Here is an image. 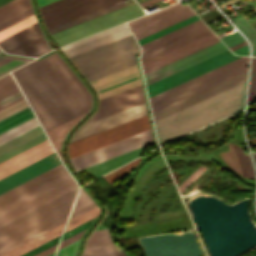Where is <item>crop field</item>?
<instances>
[{"label":"crop field","instance_id":"crop-field-46","mask_svg":"<svg viewBox=\"0 0 256 256\" xmlns=\"http://www.w3.org/2000/svg\"><path fill=\"white\" fill-rule=\"evenodd\" d=\"M207 167L201 166L198 170H196L190 177H188L179 187L180 193L190 184L192 183L199 175H201Z\"/></svg>","mask_w":256,"mask_h":256},{"label":"crop field","instance_id":"crop-field-41","mask_svg":"<svg viewBox=\"0 0 256 256\" xmlns=\"http://www.w3.org/2000/svg\"><path fill=\"white\" fill-rule=\"evenodd\" d=\"M67 216H68V215H67ZM65 217H66V216H65ZM66 218H67V217H66ZM66 218H64V219H62V220H60V221H58V222H56V223H54V224H52V225H50V226H48V227H46V228H44V229H42V230H40V231H38V232H36V233H34V234L28 236V237H26V238H24V239H22V240H20V241H18V242H16V243H14V244L8 246V247H6V248L0 250V254H2V253H4V252L8 251L9 249H11V248H13V247H15V246H17V245H19V244H21V243H23V242L29 240V239H31V238H33V237L37 236V235H39V234H41V233H43V232H45V231H47V230H49V229H51V228H53V227H55V226H57V225L63 223V222H65Z\"/></svg>","mask_w":256,"mask_h":256},{"label":"crop field","instance_id":"crop-field-14","mask_svg":"<svg viewBox=\"0 0 256 256\" xmlns=\"http://www.w3.org/2000/svg\"><path fill=\"white\" fill-rule=\"evenodd\" d=\"M140 83L136 65L90 82L99 99Z\"/></svg>","mask_w":256,"mask_h":256},{"label":"crop field","instance_id":"crop-field-29","mask_svg":"<svg viewBox=\"0 0 256 256\" xmlns=\"http://www.w3.org/2000/svg\"><path fill=\"white\" fill-rule=\"evenodd\" d=\"M31 7L29 0H13L0 7V22Z\"/></svg>","mask_w":256,"mask_h":256},{"label":"crop field","instance_id":"crop-field-59","mask_svg":"<svg viewBox=\"0 0 256 256\" xmlns=\"http://www.w3.org/2000/svg\"><path fill=\"white\" fill-rule=\"evenodd\" d=\"M253 157H254V161H255V165H256V154L253 153Z\"/></svg>","mask_w":256,"mask_h":256},{"label":"crop field","instance_id":"crop-field-22","mask_svg":"<svg viewBox=\"0 0 256 256\" xmlns=\"http://www.w3.org/2000/svg\"><path fill=\"white\" fill-rule=\"evenodd\" d=\"M229 151L222 152L221 158L241 176L255 179L254 171L248 155H244L242 147L228 142Z\"/></svg>","mask_w":256,"mask_h":256},{"label":"crop field","instance_id":"crop-field-16","mask_svg":"<svg viewBox=\"0 0 256 256\" xmlns=\"http://www.w3.org/2000/svg\"><path fill=\"white\" fill-rule=\"evenodd\" d=\"M221 43H222V42H221ZM222 45H223V46H221L220 42L215 43V44H213V45H211V46H209V47H207V48H204V49H202V50H200V51H198V52H196V53H193V54H191V55H189V56H187V57H185V58H183V59H180V60H178V61H176V62H174V63H172V64H169V65H167V66H165V67H162V68H160V69H157V70H155V71H153V72H150V73L146 74L145 77H146V79H147V78H149V77H151V76H153V75H156V74H158V73H160V72H162V71H165V70H167V69H169V68H172V67H174V66H176V65H178V64H181V63H183V62H185V61H187V60H190V59H192V58H194V57H196V56H199V55H201V54H203V53H206V52H208V51H210V50H212V49H215V48L221 46V47H219V48H217V49H215V50H212V51H210V52H208V53H206V54H203V55H201V56H199V57H196V58H194V59H192V60H190V61H187V62H185V63H183V64H181V65H178V66H176V67H174V68H172V69H169V70H167V71H165V72H162V73H160V74H158V75H156V76H153V77H151V78L145 80L146 86L149 85V84H151V83H153V82H156V81H158V80H160V79H162V78H165V77H167V76H169V75H171V74H174V73H176V72H178V71H180V70H183V69H185V68H187V67H189V66H191V65H194V64H196V63H198V62H200V61H203V60H205V59H207V58H209V57H212V56H214V55H216V54H218V53H221V52L227 50V48L224 46L223 43H222ZM145 77H144V78H145Z\"/></svg>","mask_w":256,"mask_h":256},{"label":"crop field","instance_id":"crop-field-4","mask_svg":"<svg viewBox=\"0 0 256 256\" xmlns=\"http://www.w3.org/2000/svg\"><path fill=\"white\" fill-rule=\"evenodd\" d=\"M139 52L132 35L77 56L69 58L78 71L90 82L135 65L134 54Z\"/></svg>","mask_w":256,"mask_h":256},{"label":"crop field","instance_id":"crop-field-45","mask_svg":"<svg viewBox=\"0 0 256 256\" xmlns=\"http://www.w3.org/2000/svg\"><path fill=\"white\" fill-rule=\"evenodd\" d=\"M80 240V239H79ZM79 240L59 249L57 251L56 256H74L77 246L79 244Z\"/></svg>","mask_w":256,"mask_h":256},{"label":"crop field","instance_id":"crop-field-31","mask_svg":"<svg viewBox=\"0 0 256 256\" xmlns=\"http://www.w3.org/2000/svg\"><path fill=\"white\" fill-rule=\"evenodd\" d=\"M111 11H114V8L112 6H109L107 8H104V9H101L99 11H96V12H93L91 14H88L86 16H83V17H80L78 19H75V20H72L70 22H67L65 24H62V25H59L57 27H54V28H51L48 31L49 34L51 33H54L56 31H59V30H62V29H65L67 27H70V26H73V25H76L78 23H81V22H84V21H87L89 19H92V18H95V17H98L100 15H103V14H106V13H109Z\"/></svg>","mask_w":256,"mask_h":256},{"label":"crop field","instance_id":"crop-field-53","mask_svg":"<svg viewBox=\"0 0 256 256\" xmlns=\"http://www.w3.org/2000/svg\"><path fill=\"white\" fill-rule=\"evenodd\" d=\"M233 52L236 53V54H239V55H248L247 45L242 47V48H239V49H237Z\"/></svg>","mask_w":256,"mask_h":256},{"label":"crop field","instance_id":"crop-field-32","mask_svg":"<svg viewBox=\"0 0 256 256\" xmlns=\"http://www.w3.org/2000/svg\"><path fill=\"white\" fill-rule=\"evenodd\" d=\"M206 30H208V28L206 26H204V27H202L200 29H197V30H195L193 32H190V33H188L186 35H183V36H181L179 38H176V39H174L172 41H169V42H167V43H165V44H163V45H161V46H159L157 48H154V49H152V50L142 54L140 59H144V58H146V57H148L150 55H153V54H155V53H157L159 51H162V50H164V49H166L168 47H171V46H173V45H175V44H177L179 42H182V41H184V40H186L188 38H191V37H193V36H195V35H197L199 33L204 32Z\"/></svg>","mask_w":256,"mask_h":256},{"label":"crop field","instance_id":"crop-field-38","mask_svg":"<svg viewBox=\"0 0 256 256\" xmlns=\"http://www.w3.org/2000/svg\"><path fill=\"white\" fill-rule=\"evenodd\" d=\"M196 19H198V17L196 15H194V16L188 18V19H185V20H183L181 22H178V23H176V24H174L172 26H169V27H167V28H165L163 30H160V31H158V32H156L154 34H151V35H149L147 37H144V38L138 40V43H139V45H141V44H143V43H145L147 41H150V40H152V39H154V38H156L158 36H161V35H163V34H165L167 32H170V31H172V30H174V29H176L178 27H181V26H183V25H185L187 23H190V22H192V21H194Z\"/></svg>","mask_w":256,"mask_h":256},{"label":"crop field","instance_id":"crop-field-55","mask_svg":"<svg viewBox=\"0 0 256 256\" xmlns=\"http://www.w3.org/2000/svg\"><path fill=\"white\" fill-rule=\"evenodd\" d=\"M99 256H126L123 251L117 252V253H112V254H105V255H99Z\"/></svg>","mask_w":256,"mask_h":256},{"label":"crop field","instance_id":"crop-field-61","mask_svg":"<svg viewBox=\"0 0 256 256\" xmlns=\"http://www.w3.org/2000/svg\"><path fill=\"white\" fill-rule=\"evenodd\" d=\"M54 255V253L53 254H51V255H49V256H53Z\"/></svg>","mask_w":256,"mask_h":256},{"label":"crop field","instance_id":"crop-field-28","mask_svg":"<svg viewBox=\"0 0 256 256\" xmlns=\"http://www.w3.org/2000/svg\"><path fill=\"white\" fill-rule=\"evenodd\" d=\"M85 114V113H84ZM80 115L48 132L47 135L54 145L56 151L61 149V143L64 135L68 132V130L84 115ZM66 136V135H65Z\"/></svg>","mask_w":256,"mask_h":256},{"label":"crop field","instance_id":"crop-field-49","mask_svg":"<svg viewBox=\"0 0 256 256\" xmlns=\"http://www.w3.org/2000/svg\"><path fill=\"white\" fill-rule=\"evenodd\" d=\"M94 220H95V219H93V220H91V221H89V222H87V223H85V224H83V225H81V226H79V227H77V228H75V229H73V230H71V231L65 233V234L63 235L62 240H64V239H66V238H68V237H70V236H72V235H74V234H76V233H78V232H80V231H82V230L88 228V227L90 226V224H91ZM62 240H61V241H62Z\"/></svg>","mask_w":256,"mask_h":256},{"label":"crop field","instance_id":"crop-field-19","mask_svg":"<svg viewBox=\"0 0 256 256\" xmlns=\"http://www.w3.org/2000/svg\"><path fill=\"white\" fill-rule=\"evenodd\" d=\"M126 35H130V32L126 24H124L111 30L86 38L84 40L67 45L60 49L67 56V58H69L71 56L77 55L79 53L90 50L92 48H95L97 46L108 43Z\"/></svg>","mask_w":256,"mask_h":256},{"label":"crop field","instance_id":"crop-field-18","mask_svg":"<svg viewBox=\"0 0 256 256\" xmlns=\"http://www.w3.org/2000/svg\"><path fill=\"white\" fill-rule=\"evenodd\" d=\"M54 152L48 139L0 163V179Z\"/></svg>","mask_w":256,"mask_h":256},{"label":"crop field","instance_id":"crop-field-6","mask_svg":"<svg viewBox=\"0 0 256 256\" xmlns=\"http://www.w3.org/2000/svg\"><path fill=\"white\" fill-rule=\"evenodd\" d=\"M142 14H144L143 10L133 3L117 11L51 34V36L61 45Z\"/></svg>","mask_w":256,"mask_h":256},{"label":"crop field","instance_id":"crop-field-21","mask_svg":"<svg viewBox=\"0 0 256 256\" xmlns=\"http://www.w3.org/2000/svg\"><path fill=\"white\" fill-rule=\"evenodd\" d=\"M77 187L76 183L72 180L38 196L37 198L3 214L0 216V225L6 223L7 221Z\"/></svg>","mask_w":256,"mask_h":256},{"label":"crop field","instance_id":"crop-field-34","mask_svg":"<svg viewBox=\"0 0 256 256\" xmlns=\"http://www.w3.org/2000/svg\"><path fill=\"white\" fill-rule=\"evenodd\" d=\"M36 23L34 15H31L15 24L12 26L0 31V41L15 34L16 32Z\"/></svg>","mask_w":256,"mask_h":256},{"label":"crop field","instance_id":"crop-field-15","mask_svg":"<svg viewBox=\"0 0 256 256\" xmlns=\"http://www.w3.org/2000/svg\"><path fill=\"white\" fill-rule=\"evenodd\" d=\"M247 71L152 113L154 121L246 80Z\"/></svg>","mask_w":256,"mask_h":256},{"label":"crop field","instance_id":"crop-field-43","mask_svg":"<svg viewBox=\"0 0 256 256\" xmlns=\"http://www.w3.org/2000/svg\"><path fill=\"white\" fill-rule=\"evenodd\" d=\"M117 252L114 245L84 250L83 256Z\"/></svg>","mask_w":256,"mask_h":256},{"label":"crop field","instance_id":"crop-field-13","mask_svg":"<svg viewBox=\"0 0 256 256\" xmlns=\"http://www.w3.org/2000/svg\"><path fill=\"white\" fill-rule=\"evenodd\" d=\"M144 101L142 86L137 85L99 100L97 111L85 122H90ZM83 123V124H85Z\"/></svg>","mask_w":256,"mask_h":256},{"label":"crop field","instance_id":"crop-field-56","mask_svg":"<svg viewBox=\"0 0 256 256\" xmlns=\"http://www.w3.org/2000/svg\"><path fill=\"white\" fill-rule=\"evenodd\" d=\"M53 1H56V0H37L39 7L42 5L48 4L50 2H53Z\"/></svg>","mask_w":256,"mask_h":256},{"label":"crop field","instance_id":"crop-field-26","mask_svg":"<svg viewBox=\"0 0 256 256\" xmlns=\"http://www.w3.org/2000/svg\"><path fill=\"white\" fill-rule=\"evenodd\" d=\"M202 26H204V24L199 19V20L194 21V22H192L190 24H187V25H185V26H183L181 28H178V29H176V30H174V31H172L170 33H167V34H165V35H163V36H161V37H159L157 39H154V40H152L150 42H147V43L141 45L140 47L142 49V53H144V52H146V51H148V50H150V49H152L154 47H157V46H159V45H161V44H163V43H165V42H167L169 40H172V39H174L176 37H179V36H181L183 34H186V33L190 32V31H193V30H195L197 28H200Z\"/></svg>","mask_w":256,"mask_h":256},{"label":"crop field","instance_id":"crop-field-58","mask_svg":"<svg viewBox=\"0 0 256 256\" xmlns=\"http://www.w3.org/2000/svg\"><path fill=\"white\" fill-rule=\"evenodd\" d=\"M8 1H10V0H0V5L6 3V2H8Z\"/></svg>","mask_w":256,"mask_h":256},{"label":"crop field","instance_id":"crop-field-35","mask_svg":"<svg viewBox=\"0 0 256 256\" xmlns=\"http://www.w3.org/2000/svg\"><path fill=\"white\" fill-rule=\"evenodd\" d=\"M41 133H43V132H42L40 126H39V127L35 128V129H33V130L15 138L13 140L1 145L0 146V154L9 150V149H11V148H13V147H15V146H17V145H19V144H21V143H23V142H25V141H27V140H29V139H31V138H33V137H35V136H37V135H39V134H41Z\"/></svg>","mask_w":256,"mask_h":256},{"label":"crop field","instance_id":"crop-field-51","mask_svg":"<svg viewBox=\"0 0 256 256\" xmlns=\"http://www.w3.org/2000/svg\"><path fill=\"white\" fill-rule=\"evenodd\" d=\"M95 206H97V205H95L94 203H92V204H90V205H88V206H86V207H84V208H82V209H80V210H78V211L72 213V214L70 215V219L73 218V217H75V216H77V215H79V214H81V213H83V212H85V211H87V210H89V209H91V208H93V207H95Z\"/></svg>","mask_w":256,"mask_h":256},{"label":"crop field","instance_id":"crop-field-39","mask_svg":"<svg viewBox=\"0 0 256 256\" xmlns=\"http://www.w3.org/2000/svg\"><path fill=\"white\" fill-rule=\"evenodd\" d=\"M254 99H256V58H252L248 104Z\"/></svg>","mask_w":256,"mask_h":256},{"label":"crop field","instance_id":"crop-field-12","mask_svg":"<svg viewBox=\"0 0 256 256\" xmlns=\"http://www.w3.org/2000/svg\"><path fill=\"white\" fill-rule=\"evenodd\" d=\"M146 105L145 102L139 105L133 106L131 108L122 110L120 112L114 113L112 115L106 116L104 118L95 120L93 122L82 125L72 136L70 142L81 139L83 137L92 135L94 133L103 131L105 129L111 128L113 126L122 124L124 122L133 120L135 118L146 115ZM69 142V143H70Z\"/></svg>","mask_w":256,"mask_h":256},{"label":"crop field","instance_id":"crop-field-25","mask_svg":"<svg viewBox=\"0 0 256 256\" xmlns=\"http://www.w3.org/2000/svg\"><path fill=\"white\" fill-rule=\"evenodd\" d=\"M63 226H64V223L39 235L38 237L0 255V256H18L58 235H60L62 233V230H63Z\"/></svg>","mask_w":256,"mask_h":256},{"label":"crop field","instance_id":"crop-field-1","mask_svg":"<svg viewBox=\"0 0 256 256\" xmlns=\"http://www.w3.org/2000/svg\"><path fill=\"white\" fill-rule=\"evenodd\" d=\"M12 73L45 132L91 108L89 92L56 52Z\"/></svg>","mask_w":256,"mask_h":256},{"label":"crop field","instance_id":"crop-field-62","mask_svg":"<svg viewBox=\"0 0 256 256\" xmlns=\"http://www.w3.org/2000/svg\"><path fill=\"white\" fill-rule=\"evenodd\" d=\"M0 52H2V51L0 50Z\"/></svg>","mask_w":256,"mask_h":256},{"label":"crop field","instance_id":"crop-field-54","mask_svg":"<svg viewBox=\"0 0 256 256\" xmlns=\"http://www.w3.org/2000/svg\"><path fill=\"white\" fill-rule=\"evenodd\" d=\"M239 19L241 20V22L246 26V28L251 32V34L255 37L256 39V33L255 31L250 27V25L242 18L239 17ZM256 56V55H255Z\"/></svg>","mask_w":256,"mask_h":256},{"label":"crop field","instance_id":"crop-field-10","mask_svg":"<svg viewBox=\"0 0 256 256\" xmlns=\"http://www.w3.org/2000/svg\"><path fill=\"white\" fill-rule=\"evenodd\" d=\"M238 57L240 56H234L230 53L229 50H227L221 54H218L212 58H209L203 62H200L183 71H180L174 75H171L165 79H162L156 83L147 86L146 89L148 97L150 98L158 93L170 89L178 84H181L189 79L201 75Z\"/></svg>","mask_w":256,"mask_h":256},{"label":"crop field","instance_id":"crop-field-9","mask_svg":"<svg viewBox=\"0 0 256 256\" xmlns=\"http://www.w3.org/2000/svg\"><path fill=\"white\" fill-rule=\"evenodd\" d=\"M192 15H194V13L187 6L182 7L181 4L178 3L131 21L129 25L138 40Z\"/></svg>","mask_w":256,"mask_h":256},{"label":"crop field","instance_id":"crop-field-30","mask_svg":"<svg viewBox=\"0 0 256 256\" xmlns=\"http://www.w3.org/2000/svg\"><path fill=\"white\" fill-rule=\"evenodd\" d=\"M39 126L35 117L0 135V145Z\"/></svg>","mask_w":256,"mask_h":256},{"label":"crop field","instance_id":"crop-field-47","mask_svg":"<svg viewBox=\"0 0 256 256\" xmlns=\"http://www.w3.org/2000/svg\"><path fill=\"white\" fill-rule=\"evenodd\" d=\"M12 59L23 60V61H26V62L29 61L28 59L8 57V58L0 61V65L4 64V63H6V62H8V61H10ZM18 60H13V61H11V62L1 66L0 67V73H2V72H4V71H6V70H8V69H10V68H12V67H14V66H16V65H18V64L23 62V61H18Z\"/></svg>","mask_w":256,"mask_h":256},{"label":"crop field","instance_id":"crop-field-3","mask_svg":"<svg viewBox=\"0 0 256 256\" xmlns=\"http://www.w3.org/2000/svg\"><path fill=\"white\" fill-rule=\"evenodd\" d=\"M149 128L150 125L146 115L133 121L70 143L68 145V156L71 159ZM152 142V135L149 129L100 149L73 158L70 161L75 171H78L92 164L98 163L100 161Z\"/></svg>","mask_w":256,"mask_h":256},{"label":"crop field","instance_id":"crop-field-48","mask_svg":"<svg viewBox=\"0 0 256 256\" xmlns=\"http://www.w3.org/2000/svg\"><path fill=\"white\" fill-rule=\"evenodd\" d=\"M59 238H60V236L51 240V241H49V242H47V243H45V244H43V245H41V246H39V247H37V248H35V249H33V250H31V251H29V252H27V253H25V254H23V255H21V256H32V255L50 247V246L58 243Z\"/></svg>","mask_w":256,"mask_h":256},{"label":"crop field","instance_id":"crop-field-20","mask_svg":"<svg viewBox=\"0 0 256 256\" xmlns=\"http://www.w3.org/2000/svg\"><path fill=\"white\" fill-rule=\"evenodd\" d=\"M67 173L63 168L62 164L1 194L0 195V206L14 200L15 198Z\"/></svg>","mask_w":256,"mask_h":256},{"label":"crop field","instance_id":"crop-field-57","mask_svg":"<svg viewBox=\"0 0 256 256\" xmlns=\"http://www.w3.org/2000/svg\"><path fill=\"white\" fill-rule=\"evenodd\" d=\"M158 1H161V0H148V1H145V2H143V3H140V5H141L142 7H144V6H147V5H149V4L156 3V2H158Z\"/></svg>","mask_w":256,"mask_h":256},{"label":"crop field","instance_id":"crop-field-11","mask_svg":"<svg viewBox=\"0 0 256 256\" xmlns=\"http://www.w3.org/2000/svg\"><path fill=\"white\" fill-rule=\"evenodd\" d=\"M6 52L37 57L48 51L49 47L43 40L37 24L0 42Z\"/></svg>","mask_w":256,"mask_h":256},{"label":"crop field","instance_id":"crop-field-36","mask_svg":"<svg viewBox=\"0 0 256 256\" xmlns=\"http://www.w3.org/2000/svg\"><path fill=\"white\" fill-rule=\"evenodd\" d=\"M45 139H47V138H46V136L43 133V134H41V135L31 139V140H29V141L19 145V146H17L15 148H13V149H11V150L1 154L0 155V162H2L4 160L12 157L13 155H15V154H17V153H19V152H21V151H23V150L33 146V145H35V144L45 140Z\"/></svg>","mask_w":256,"mask_h":256},{"label":"crop field","instance_id":"crop-field-17","mask_svg":"<svg viewBox=\"0 0 256 256\" xmlns=\"http://www.w3.org/2000/svg\"><path fill=\"white\" fill-rule=\"evenodd\" d=\"M60 164L55 152L0 180V193Z\"/></svg>","mask_w":256,"mask_h":256},{"label":"crop field","instance_id":"crop-field-44","mask_svg":"<svg viewBox=\"0 0 256 256\" xmlns=\"http://www.w3.org/2000/svg\"><path fill=\"white\" fill-rule=\"evenodd\" d=\"M26 106H28V105H27V103H26V101L24 99V100L14 104V105H12V106H10V107L0 111V119H2L4 117H6V116L16 112V111H18V110H20V109H22V108H24Z\"/></svg>","mask_w":256,"mask_h":256},{"label":"crop field","instance_id":"crop-field-8","mask_svg":"<svg viewBox=\"0 0 256 256\" xmlns=\"http://www.w3.org/2000/svg\"><path fill=\"white\" fill-rule=\"evenodd\" d=\"M217 41H219V39L208 30L153 56L150 55L151 57L144 60L141 59L143 72L145 74Z\"/></svg>","mask_w":256,"mask_h":256},{"label":"crop field","instance_id":"crop-field-60","mask_svg":"<svg viewBox=\"0 0 256 256\" xmlns=\"http://www.w3.org/2000/svg\"><path fill=\"white\" fill-rule=\"evenodd\" d=\"M5 57H6V56H0V60L3 59V58H5Z\"/></svg>","mask_w":256,"mask_h":256},{"label":"crop field","instance_id":"crop-field-42","mask_svg":"<svg viewBox=\"0 0 256 256\" xmlns=\"http://www.w3.org/2000/svg\"><path fill=\"white\" fill-rule=\"evenodd\" d=\"M31 14H33L32 7L23 11V12H21V13H19V14H17V15H15V16H13V17H11V18H9V19H7V20H5V21H3V22H1L0 23V30L10 26L11 24H13V23L31 15Z\"/></svg>","mask_w":256,"mask_h":256},{"label":"crop field","instance_id":"crop-field-23","mask_svg":"<svg viewBox=\"0 0 256 256\" xmlns=\"http://www.w3.org/2000/svg\"><path fill=\"white\" fill-rule=\"evenodd\" d=\"M70 179H72V178L67 173V174H65V175H63V176H61V177H59V178H57V179H55L51 182H49V183H47V184H45V185H43V186H41V187H39L35 190L23 195V196L15 199L14 201L0 207V215L9 211V210H11V209H13V208H15V207H17V206H19V205H21V204H23V203H25V202H27V201H29V200H31V199H33V198H35V197H37L38 195H40V194L58 186V185L66 182Z\"/></svg>","mask_w":256,"mask_h":256},{"label":"crop field","instance_id":"crop-field-7","mask_svg":"<svg viewBox=\"0 0 256 256\" xmlns=\"http://www.w3.org/2000/svg\"><path fill=\"white\" fill-rule=\"evenodd\" d=\"M122 0H58L40 7L48 28Z\"/></svg>","mask_w":256,"mask_h":256},{"label":"crop field","instance_id":"crop-field-33","mask_svg":"<svg viewBox=\"0 0 256 256\" xmlns=\"http://www.w3.org/2000/svg\"><path fill=\"white\" fill-rule=\"evenodd\" d=\"M109 244H112V242L110 240L108 230L103 229V230L94 231L89 236L85 248L109 245Z\"/></svg>","mask_w":256,"mask_h":256},{"label":"crop field","instance_id":"crop-field-40","mask_svg":"<svg viewBox=\"0 0 256 256\" xmlns=\"http://www.w3.org/2000/svg\"><path fill=\"white\" fill-rule=\"evenodd\" d=\"M93 201L91 200V198L86 194V192L83 189H79L76 201L74 203L72 212L92 203ZM71 212V213H72Z\"/></svg>","mask_w":256,"mask_h":256},{"label":"crop field","instance_id":"crop-field-27","mask_svg":"<svg viewBox=\"0 0 256 256\" xmlns=\"http://www.w3.org/2000/svg\"><path fill=\"white\" fill-rule=\"evenodd\" d=\"M17 91H19L18 90V88H17V86H16V84H15V82H14V80H13V78H12V76H11V74H9V75H7V76H5V77H3V78H1L0 79V100H2V99H4V98H6V97H8L9 95H11V94H13V93H15V92H17ZM20 98H22V95H21V93H20V91L19 92H17V93H15V94H13V95H11L10 97H8V98H6V99H4V100H2V101H0L1 102V104H2V106L4 107V106H6V105H8V104H10V103H12V102H14V101H16V100H18V99H20ZM23 99V98H22ZM21 100V99H20ZM19 101V100H18ZM17 102V101H16ZM15 103V102H14ZM13 104V103H12ZM11 105V104H10ZM9 106V105H8ZM7 107V106H6ZM5 108V107H4ZM1 109H3L2 107H1V105H0V110Z\"/></svg>","mask_w":256,"mask_h":256},{"label":"crop field","instance_id":"crop-field-2","mask_svg":"<svg viewBox=\"0 0 256 256\" xmlns=\"http://www.w3.org/2000/svg\"><path fill=\"white\" fill-rule=\"evenodd\" d=\"M246 82L154 122L160 145L243 108Z\"/></svg>","mask_w":256,"mask_h":256},{"label":"crop field","instance_id":"crop-field-37","mask_svg":"<svg viewBox=\"0 0 256 256\" xmlns=\"http://www.w3.org/2000/svg\"><path fill=\"white\" fill-rule=\"evenodd\" d=\"M99 212H100V210H99V207L97 206V207L69 220L65 232L96 217Z\"/></svg>","mask_w":256,"mask_h":256},{"label":"crop field","instance_id":"crop-field-52","mask_svg":"<svg viewBox=\"0 0 256 256\" xmlns=\"http://www.w3.org/2000/svg\"><path fill=\"white\" fill-rule=\"evenodd\" d=\"M56 247H57V244L48 248V249H46V250H44V251H42V252H40V253H38V254H36V255H34V256H47V255L55 252Z\"/></svg>","mask_w":256,"mask_h":256},{"label":"crop field","instance_id":"crop-field-5","mask_svg":"<svg viewBox=\"0 0 256 256\" xmlns=\"http://www.w3.org/2000/svg\"><path fill=\"white\" fill-rule=\"evenodd\" d=\"M77 189L0 226V249L67 216Z\"/></svg>","mask_w":256,"mask_h":256},{"label":"crop field","instance_id":"crop-field-24","mask_svg":"<svg viewBox=\"0 0 256 256\" xmlns=\"http://www.w3.org/2000/svg\"><path fill=\"white\" fill-rule=\"evenodd\" d=\"M143 147L135 149L128 153L122 154L120 156L114 157L107 161L101 162L94 166L88 167L87 169H89L93 174H95L97 177H99V176L105 174L106 172L124 164L125 162L141 155Z\"/></svg>","mask_w":256,"mask_h":256},{"label":"crop field","instance_id":"crop-field-50","mask_svg":"<svg viewBox=\"0 0 256 256\" xmlns=\"http://www.w3.org/2000/svg\"><path fill=\"white\" fill-rule=\"evenodd\" d=\"M84 232H85V230L82 231V232H80V233H78V234H76V235H74V236H72V237H70V238H68V239H66V240H64V241H62V242L60 243L59 248H61V247L65 246V245H67V244H69V243H71V242H73V241L79 239L80 236H81ZM59 248H58V249H59Z\"/></svg>","mask_w":256,"mask_h":256}]
</instances>
